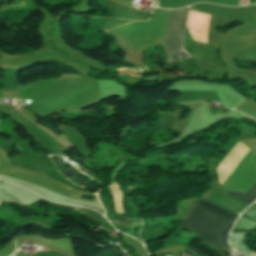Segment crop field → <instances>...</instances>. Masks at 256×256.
<instances>
[{"mask_svg":"<svg viewBox=\"0 0 256 256\" xmlns=\"http://www.w3.org/2000/svg\"><path fill=\"white\" fill-rule=\"evenodd\" d=\"M232 226L227 220L195 205L190 217L181 228L199 234L201 241L212 245L217 250L221 247L227 253L233 251L226 236Z\"/></svg>","mask_w":256,"mask_h":256,"instance_id":"1","label":"crop field"},{"mask_svg":"<svg viewBox=\"0 0 256 256\" xmlns=\"http://www.w3.org/2000/svg\"><path fill=\"white\" fill-rule=\"evenodd\" d=\"M187 7L172 11L162 45L167 62L177 60L175 55L181 50L183 29L186 21Z\"/></svg>","mask_w":256,"mask_h":256,"instance_id":"2","label":"crop field"},{"mask_svg":"<svg viewBox=\"0 0 256 256\" xmlns=\"http://www.w3.org/2000/svg\"><path fill=\"white\" fill-rule=\"evenodd\" d=\"M246 215L254 220H256V204H253L249 209H247L244 213L243 216ZM240 217L238 222L236 223L235 227L233 228V230L236 229H242V230H250L253 227L256 226V223L246 219L244 217Z\"/></svg>","mask_w":256,"mask_h":256,"instance_id":"3","label":"crop field"},{"mask_svg":"<svg viewBox=\"0 0 256 256\" xmlns=\"http://www.w3.org/2000/svg\"><path fill=\"white\" fill-rule=\"evenodd\" d=\"M110 192L112 194L114 209L116 214H125L124 208L122 206V191L117 184V182H113L112 184L108 185Z\"/></svg>","mask_w":256,"mask_h":256,"instance_id":"4","label":"crop field"},{"mask_svg":"<svg viewBox=\"0 0 256 256\" xmlns=\"http://www.w3.org/2000/svg\"><path fill=\"white\" fill-rule=\"evenodd\" d=\"M197 204L202 206L203 208L211 211V212L216 213L217 215H219V216H221V217H223V218H225V219H227V220H229L231 222L236 217V215H233V214H231V213H229V212H227V211H225V210H223V209H221V208H219L217 206H214V205H212V204H210V203H208V202H206L204 200L200 199Z\"/></svg>","mask_w":256,"mask_h":256,"instance_id":"5","label":"crop field"},{"mask_svg":"<svg viewBox=\"0 0 256 256\" xmlns=\"http://www.w3.org/2000/svg\"><path fill=\"white\" fill-rule=\"evenodd\" d=\"M224 194L230 196V197H233L239 201H242L248 205H250L254 200H255V197H252V196H249V195H246V194H240V193H229V192H224Z\"/></svg>","mask_w":256,"mask_h":256,"instance_id":"6","label":"crop field"},{"mask_svg":"<svg viewBox=\"0 0 256 256\" xmlns=\"http://www.w3.org/2000/svg\"><path fill=\"white\" fill-rule=\"evenodd\" d=\"M248 194L256 195V183L247 192Z\"/></svg>","mask_w":256,"mask_h":256,"instance_id":"7","label":"crop field"},{"mask_svg":"<svg viewBox=\"0 0 256 256\" xmlns=\"http://www.w3.org/2000/svg\"><path fill=\"white\" fill-rule=\"evenodd\" d=\"M246 58L256 60V52H254V53L248 55Z\"/></svg>","mask_w":256,"mask_h":256,"instance_id":"8","label":"crop field"},{"mask_svg":"<svg viewBox=\"0 0 256 256\" xmlns=\"http://www.w3.org/2000/svg\"><path fill=\"white\" fill-rule=\"evenodd\" d=\"M120 1H123V2H125V3H131V4H132V1H133V0H120Z\"/></svg>","mask_w":256,"mask_h":256,"instance_id":"9","label":"crop field"}]
</instances>
